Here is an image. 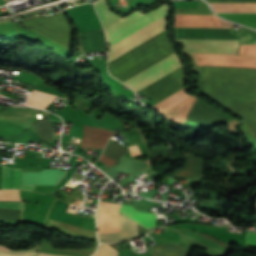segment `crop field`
<instances>
[{"mask_svg": "<svg viewBox=\"0 0 256 256\" xmlns=\"http://www.w3.org/2000/svg\"><path fill=\"white\" fill-rule=\"evenodd\" d=\"M126 152L127 150L124 147L110 139L103 153L118 162L122 155L125 156Z\"/></svg>", "mask_w": 256, "mask_h": 256, "instance_id": "21", "label": "crop field"}, {"mask_svg": "<svg viewBox=\"0 0 256 256\" xmlns=\"http://www.w3.org/2000/svg\"><path fill=\"white\" fill-rule=\"evenodd\" d=\"M174 27L221 28L215 15H175Z\"/></svg>", "mask_w": 256, "mask_h": 256, "instance_id": "9", "label": "crop field"}, {"mask_svg": "<svg viewBox=\"0 0 256 256\" xmlns=\"http://www.w3.org/2000/svg\"><path fill=\"white\" fill-rule=\"evenodd\" d=\"M34 130L41 136L44 141H52V131L49 118H46L42 121L36 122L31 125Z\"/></svg>", "mask_w": 256, "mask_h": 256, "instance_id": "19", "label": "crop field"}, {"mask_svg": "<svg viewBox=\"0 0 256 256\" xmlns=\"http://www.w3.org/2000/svg\"><path fill=\"white\" fill-rule=\"evenodd\" d=\"M131 144V143H130Z\"/></svg>", "mask_w": 256, "mask_h": 256, "instance_id": "35", "label": "crop field"}, {"mask_svg": "<svg viewBox=\"0 0 256 256\" xmlns=\"http://www.w3.org/2000/svg\"><path fill=\"white\" fill-rule=\"evenodd\" d=\"M256 44V32L241 27L240 45Z\"/></svg>", "mask_w": 256, "mask_h": 256, "instance_id": "23", "label": "crop field"}, {"mask_svg": "<svg viewBox=\"0 0 256 256\" xmlns=\"http://www.w3.org/2000/svg\"><path fill=\"white\" fill-rule=\"evenodd\" d=\"M65 172H66V171H65ZM64 175H65V174H64ZM64 175H63V176H64ZM62 178H63V177H62ZM62 178H61V179H62Z\"/></svg>", "mask_w": 256, "mask_h": 256, "instance_id": "33", "label": "crop field"}, {"mask_svg": "<svg viewBox=\"0 0 256 256\" xmlns=\"http://www.w3.org/2000/svg\"><path fill=\"white\" fill-rule=\"evenodd\" d=\"M118 204L101 202L98 211L99 233H108L120 231ZM126 216L148 229L156 226V215L136 211L133 206L121 205L120 210Z\"/></svg>", "mask_w": 256, "mask_h": 256, "instance_id": "3", "label": "crop field"}, {"mask_svg": "<svg viewBox=\"0 0 256 256\" xmlns=\"http://www.w3.org/2000/svg\"><path fill=\"white\" fill-rule=\"evenodd\" d=\"M0 250H10L0 245ZM0 256H36V248L24 251H0Z\"/></svg>", "mask_w": 256, "mask_h": 256, "instance_id": "22", "label": "crop field"}, {"mask_svg": "<svg viewBox=\"0 0 256 256\" xmlns=\"http://www.w3.org/2000/svg\"><path fill=\"white\" fill-rule=\"evenodd\" d=\"M85 53L106 51L103 28L79 33Z\"/></svg>", "mask_w": 256, "mask_h": 256, "instance_id": "11", "label": "crop field"}, {"mask_svg": "<svg viewBox=\"0 0 256 256\" xmlns=\"http://www.w3.org/2000/svg\"><path fill=\"white\" fill-rule=\"evenodd\" d=\"M196 65L256 68V45L240 46L238 55L189 54ZM188 55V56H189ZM190 56V57H191ZM196 66L203 92L234 111L256 100V69Z\"/></svg>", "mask_w": 256, "mask_h": 256, "instance_id": "1", "label": "crop field"}, {"mask_svg": "<svg viewBox=\"0 0 256 256\" xmlns=\"http://www.w3.org/2000/svg\"><path fill=\"white\" fill-rule=\"evenodd\" d=\"M230 118L214 111L201 101H195L186 121L200 123H216L221 121H229Z\"/></svg>", "mask_w": 256, "mask_h": 256, "instance_id": "8", "label": "crop field"}, {"mask_svg": "<svg viewBox=\"0 0 256 256\" xmlns=\"http://www.w3.org/2000/svg\"><path fill=\"white\" fill-rule=\"evenodd\" d=\"M183 245H157L153 247L152 256H186Z\"/></svg>", "mask_w": 256, "mask_h": 256, "instance_id": "17", "label": "crop field"}, {"mask_svg": "<svg viewBox=\"0 0 256 256\" xmlns=\"http://www.w3.org/2000/svg\"><path fill=\"white\" fill-rule=\"evenodd\" d=\"M171 176L186 179L202 177V159L187 154L185 165Z\"/></svg>", "mask_w": 256, "mask_h": 256, "instance_id": "12", "label": "crop field"}, {"mask_svg": "<svg viewBox=\"0 0 256 256\" xmlns=\"http://www.w3.org/2000/svg\"><path fill=\"white\" fill-rule=\"evenodd\" d=\"M184 45L183 53L236 54L239 41L176 40Z\"/></svg>", "mask_w": 256, "mask_h": 256, "instance_id": "6", "label": "crop field"}, {"mask_svg": "<svg viewBox=\"0 0 256 256\" xmlns=\"http://www.w3.org/2000/svg\"><path fill=\"white\" fill-rule=\"evenodd\" d=\"M113 134L115 133L109 130L84 126V137L81 148L103 149L107 139Z\"/></svg>", "mask_w": 256, "mask_h": 256, "instance_id": "10", "label": "crop field"}, {"mask_svg": "<svg viewBox=\"0 0 256 256\" xmlns=\"http://www.w3.org/2000/svg\"><path fill=\"white\" fill-rule=\"evenodd\" d=\"M210 4L215 9L216 12L256 13V3H210Z\"/></svg>", "mask_w": 256, "mask_h": 256, "instance_id": "14", "label": "crop field"}, {"mask_svg": "<svg viewBox=\"0 0 256 256\" xmlns=\"http://www.w3.org/2000/svg\"><path fill=\"white\" fill-rule=\"evenodd\" d=\"M101 160L102 162H104L108 167L117 163L115 161H113L112 159L108 158L107 156L105 155H102L101 158L99 159Z\"/></svg>", "mask_w": 256, "mask_h": 256, "instance_id": "28", "label": "crop field"}, {"mask_svg": "<svg viewBox=\"0 0 256 256\" xmlns=\"http://www.w3.org/2000/svg\"><path fill=\"white\" fill-rule=\"evenodd\" d=\"M23 23L58 44L66 48L69 47L70 29L62 13L51 17L33 18Z\"/></svg>", "mask_w": 256, "mask_h": 256, "instance_id": "4", "label": "crop field"}, {"mask_svg": "<svg viewBox=\"0 0 256 256\" xmlns=\"http://www.w3.org/2000/svg\"><path fill=\"white\" fill-rule=\"evenodd\" d=\"M39 256H67V255H60V254L39 251Z\"/></svg>", "mask_w": 256, "mask_h": 256, "instance_id": "31", "label": "crop field"}, {"mask_svg": "<svg viewBox=\"0 0 256 256\" xmlns=\"http://www.w3.org/2000/svg\"><path fill=\"white\" fill-rule=\"evenodd\" d=\"M246 243L255 244L256 245V233L247 232Z\"/></svg>", "mask_w": 256, "mask_h": 256, "instance_id": "27", "label": "crop field"}, {"mask_svg": "<svg viewBox=\"0 0 256 256\" xmlns=\"http://www.w3.org/2000/svg\"><path fill=\"white\" fill-rule=\"evenodd\" d=\"M34 186H28V185H21L20 189H29L32 190Z\"/></svg>", "mask_w": 256, "mask_h": 256, "instance_id": "32", "label": "crop field"}, {"mask_svg": "<svg viewBox=\"0 0 256 256\" xmlns=\"http://www.w3.org/2000/svg\"><path fill=\"white\" fill-rule=\"evenodd\" d=\"M0 200H20L18 196V190L0 191Z\"/></svg>", "mask_w": 256, "mask_h": 256, "instance_id": "25", "label": "crop field"}, {"mask_svg": "<svg viewBox=\"0 0 256 256\" xmlns=\"http://www.w3.org/2000/svg\"><path fill=\"white\" fill-rule=\"evenodd\" d=\"M195 98H187L170 110L163 113L170 121L184 122L190 106L193 104Z\"/></svg>", "mask_w": 256, "mask_h": 256, "instance_id": "15", "label": "crop field"}, {"mask_svg": "<svg viewBox=\"0 0 256 256\" xmlns=\"http://www.w3.org/2000/svg\"><path fill=\"white\" fill-rule=\"evenodd\" d=\"M181 65L179 63L178 58L175 55H172L169 58H167V59L163 60L162 62L158 63L157 65H155L153 67L151 66L152 68L149 67L150 69H148L146 71L144 70L145 72H143L141 74L139 73L140 75H138L136 77L134 76L135 78H133V77H132L133 79L130 78L131 80H129V81L127 80L128 82L125 81L126 82L125 84L136 91V90L142 88L143 86L151 83L152 81L158 79L159 77L165 75L166 73L174 70L175 68H177Z\"/></svg>", "mask_w": 256, "mask_h": 256, "instance_id": "5", "label": "crop field"}, {"mask_svg": "<svg viewBox=\"0 0 256 256\" xmlns=\"http://www.w3.org/2000/svg\"><path fill=\"white\" fill-rule=\"evenodd\" d=\"M129 148H130V152H131V155H132V156L142 154L139 145H137V146H131V147H129Z\"/></svg>", "mask_w": 256, "mask_h": 256, "instance_id": "29", "label": "crop field"}, {"mask_svg": "<svg viewBox=\"0 0 256 256\" xmlns=\"http://www.w3.org/2000/svg\"><path fill=\"white\" fill-rule=\"evenodd\" d=\"M55 97L56 95L33 90L27 102L46 107L55 99Z\"/></svg>", "mask_w": 256, "mask_h": 256, "instance_id": "20", "label": "crop field"}, {"mask_svg": "<svg viewBox=\"0 0 256 256\" xmlns=\"http://www.w3.org/2000/svg\"><path fill=\"white\" fill-rule=\"evenodd\" d=\"M0 208L22 210V202H0Z\"/></svg>", "mask_w": 256, "mask_h": 256, "instance_id": "26", "label": "crop field"}, {"mask_svg": "<svg viewBox=\"0 0 256 256\" xmlns=\"http://www.w3.org/2000/svg\"><path fill=\"white\" fill-rule=\"evenodd\" d=\"M21 169L4 167L2 189H18Z\"/></svg>", "mask_w": 256, "mask_h": 256, "instance_id": "16", "label": "crop field"}, {"mask_svg": "<svg viewBox=\"0 0 256 256\" xmlns=\"http://www.w3.org/2000/svg\"><path fill=\"white\" fill-rule=\"evenodd\" d=\"M255 106L256 102L245 106L235 112L244 118V120L249 124V126L256 134V111L254 109Z\"/></svg>", "mask_w": 256, "mask_h": 256, "instance_id": "18", "label": "crop field"}, {"mask_svg": "<svg viewBox=\"0 0 256 256\" xmlns=\"http://www.w3.org/2000/svg\"><path fill=\"white\" fill-rule=\"evenodd\" d=\"M121 232L99 235L100 241H109L138 235L136 223L120 213Z\"/></svg>", "mask_w": 256, "mask_h": 256, "instance_id": "13", "label": "crop field"}, {"mask_svg": "<svg viewBox=\"0 0 256 256\" xmlns=\"http://www.w3.org/2000/svg\"><path fill=\"white\" fill-rule=\"evenodd\" d=\"M93 256H117V251L107 244H102Z\"/></svg>", "mask_w": 256, "mask_h": 256, "instance_id": "24", "label": "crop field"}, {"mask_svg": "<svg viewBox=\"0 0 256 256\" xmlns=\"http://www.w3.org/2000/svg\"><path fill=\"white\" fill-rule=\"evenodd\" d=\"M245 129H246L247 132L250 134L253 143L256 144V135L254 134V132L248 127V125L245 126Z\"/></svg>", "mask_w": 256, "mask_h": 256, "instance_id": "30", "label": "crop field"}, {"mask_svg": "<svg viewBox=\"0 0 256 256\" xmlns=\"http://www.w3.org/2000/svg\"><path fill=\"white\" fill-rule=\"evenodd\" d=\"M232 28V27H223ZM176 39L239 40L233 29L174 28Z\"/></svg>", "mask_w": 256, "mask_h": 256, "instance_id": "7", "label": "crop field"}, {"mask_svg": "<svg viewBox=\"0 0 256 256\" xmlns=\"http://www.w3.org/2000/svg\"><path fill=\"white\" fill-rule=\"evenodd\" d=\"M95 8L109 43L108 61L166 29L169 11L165 4L145 15L137 11L122 19L109 11L105 0L96 2Z\"/></svg>", "mask_w": 256, "mask_h": 256, "instance_id": "2", "label": "crop field"}, {"mask_svg": "<svg viewBox=\"0 0 256 256\" xmlns=\"http://www.w3.org/2000/svg\"><path fill=\"white\" fill-rule=\"evenodd\" d=\"M5 1H7V0H5Z\"/></svg>", "mask_w": 256, "mask_h": 256, "instance_id": "34", "label": "crop field"}]
</instances>
